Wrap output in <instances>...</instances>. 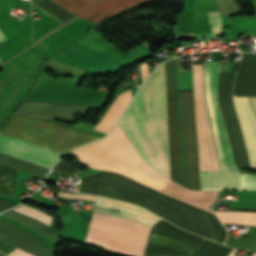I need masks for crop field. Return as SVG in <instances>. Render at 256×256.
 I'll list each match as a JSON object with an SVG mask.
<instances>
[{
  "label": "crop field",
  "instance_id": "crop-field-2",
  "mask_svg": "<svg viewBox=\"0 0 256 256\" xmlns=\"http://www.w3.org/2000/svg\"><path fill=\"white\" fill-rule=\"evenodd\" d=\"M148 90L152 169L170 178L164 64L148 78ZM148 90L146 80L118 123L151 167Z\"/></svg>",
  "mask_w": 256,
  "mask_h": 256
},
{
  "label": "crop field",
  "instance_id": "crop-field-13",
  "mask_svg": "<svg viewBox=\"0 0 256 256\" xmlns=\"http://www.w3.org/2000/svg\"><path fill=\"white\" fill-rule=\"evenodd\" d=\"M61 53L88 66H91L101 72H110L125 66L78 43H74L70 47L63 50Z\"/></svg>",
  "mask_w": 256,
  "mask_h": 256
},
{
  "label": "crop field",
  "instance_id": "crop-field-22",
  "mask_svg": "<svg viewBox=\"0 0 256 256\" xmlns=\"http://www.w3.org/2000/svg\"><path fill=\"white\" fill-rule=\"evenodd\" d=\"M220 221L226 224H246L256 226V213L237 211H214Z\"/></svg>",
  "mask_w": 256,
  "mask_h": 256
},
{
  "label": "crop field",
  "instance_id": "crop-field-27",
  "mask_svg": "<svg viewBox=\"0 0 256 256\" xmlns=\"http://www.w3.org/2000/svg\"><path fill=\"white\" fill-rule=\"evenodd\" d=\"M209 17H210L212 35L222 34L221 19H220L219 11L210 12Z\"/></svg>",
  "mask_w": 256,
  "mask_h": 256
},
{
  "label": "crop field",
  "instance_id": "crop-field-4",
  "mask_svg": "<svg viewBox=\"0 0 256 256\" xmlns=\"http://www.w3.org/2000/svg\"><path fill=\"white\" fill-rule=\"evenodd\" d=\"M171 180L199 190L193 90H166Z\"/></svg>",
  "mask_w": 256,
  "mask_h": 256
},
{
  "label": "crop field",
  "instance_id": "crop-field-17",
  "mask_svg": "<svg viewBox=\"0 0 256 256\" xmlns=\"http://www.w3.org/2000/svg\"><path fill=\"white\" fill-rule=\"evenodd\" d=\"M201 190H240L239 172L200 171Z\"/></svg>",
  "mask_w": 256,
  "mask_h": 256
},
{
  "label": "crop field",
  "instance_id": "crop-field-23",
  "mask_svg": "<svg viewBox=\"0 0 256 256\" xmlns=\"http://www.w3.org/2000/svg\"><path fill=\"white\" fill-rule=\"evenodd\" d=\"M231 248L217 244L208 239L202 244L195 256H226Z\"/></svg>",
  "mask_w": 256,
  "mask_h": 256
},
{
  "label": "crop field",
  "instance_id": "crop-field-14",
  "mask_svg": "<svg viewBox=\"0 0 256 256\" xmlns=\"http://www.w3.org/2000/svg\"><path fill=\"white\" fill-rule=\"evenodd\" d=\"M161 193L212 213L209 206L216 198V191H192L170 182ZM213 214V213H212Z\"/></svg>",
  "mask_w": 256,
  "mask_h": 256
},
{
  "label": "crop field",
  "instance_id": "crop-field-7",
  "mask_svg": "<svg viewBox=\"0 0 256 256\" xmlns=\"http://www.w3.org/2000/svg\"><path fill=\"white\" fill-rule=\"evenodd\" d=\"M149 230L130 220L93 214L87 242L127 255L143 256Z\"/></svg>",
  "mask_w": 256,
  "mask_h": 256
},
{
  "label": "crop field",
  "instance_id": "crop-field-6",
  "mask_svg": "<svg viewBox=\"0 0 256 256\" xmlns=\"http://www.w3.org/2000/svg\"><path fill=\"white\" fill-rule=\"evenodd\" d=\"M235 75L236 74L220 73L218 99L233 156L238 168H256V118L247 97H233L251 159V167L245 140L232 98V85Z\"/></svg>",
  "mask_w": 256,
  "mask_h": 256
},
{
  "label": "crop field",
  "instance_id": "crop-field-31",
  "mask_svg": "<svg viewBox=\"0 0 256 256\" xmlns=\"http://www.w3.org/2000/svg\"><path fill=\"white\" fill-rule=\"evenodd\" d=\"M142 81L148 76L147 65L143 63L140 65Z\"/></svg>",
  "mask_w": 256,
  "mask_h": 256
},
{
  "label": "crop field",
  "instance_id": "crop-field-25",
  "mask_svg": "<svg viewBox=\"0 0 256 256\" xmlns=\"http://www.w3.org/2000/svg\"><path fill=\"white\" fill-rule=\"evenodd\" d=\"M166 89L178 88L176 59L165 62Z\"/></svg>",
  "mask_w": 256,
  "mask_h": 256
},
{
  "label": "crop field",
  "instance_id": "crop-field-9",
  "mask_svg": "<svg viewBox=\"0 0 256 256\" xmlns=\"http://www.w3.org/2000/svg\"><path fill=\"white\" fill-rule=\"evenodd\" d=\"M204 240L160 220L151 230L145 253L194 255Z\"/></svg>",
  "mask_w": 256,
  "mask_h": 256
},
{
  "label": "crop field",
  "instance_id": "crop-field-11",
  "mask_svg": "<svg viewBox=\"0 0 256 256\" xmlns=\"http://www.w3.org/2000/svg\"><path fill=\"white\" fill-rule=\"evenodd\" d=\"M89 105L54 104L47 102L23 101L15 111L39 118H53L70 121L75 112L86 113Z\"/></svg>",
  "mask_w": 256,
  "mask_h": 256
},
{
  "label": "crop field",
  "instance_id": "crop-field-15",
  "mask_svg": "<svg viewBox=\"0 0 256 256\" xmlns=\"http://www.w3.org/2000/svg\"><path fill=\"white\" fill-rule=\"evenodd\" d=\"M0 238L34 256H53L54 253V251L42 245L30 236L14 229L13 227L1 221Z\"/></svg>",
  "mask_w": 256,
  "mask_h": 256
},
{
  "label": "crop field",
  "instance_id": "crop-field-12",
  "mask_svg": "<svg viewBox=\"0 0 256 256\" xmlns=\"http://www.w3.org/2000/svg\"><path fill=\"white\" fill-rule=\"evenodd\" d=\"M96 206L108 208V209L120 210V211L116 212V211L95 207L93 211L94 213L130 219L149 227H151L154 223H156L160 219L159 217L135 205L114 201V200H110L102 197H99Z\"/></svg>",
  "mask_w": 256,
  "mask_h": 256
},
{
  "label": "crop field",
  "instance_id": "crop-field-19",
  "mask_svg": "<svg viewBox=\"0 0 256 256\" xmlns=\"http://www.w3.org/2000/svg\"><path fill=\"white\" fill-rule=\"evenodd\" d=\"M132 95L131 91H127L121 95H119L118 98L113 102V104L110 106V108L105 113L104 117L100 121V123L97 125L95 130L103 132L107 134V132L110 130L112 125L115 123L119 115L122 113L124 108L127 106L129 101L131 100Z\"/></svg>",
  "mask_w": 256,
  "mask_h": 256
},
{
  "label": "crop field",
  "instance_id": "crop-field-21",
  "mask_svg": "<svg viewBox=\"0 0 256 256\" xmlns=\"http://www.w3.org/2000/svg\"><path fill=\"white\" fill-rule=\"evenodd\" d=\"M0 163L34 174V175H42V176H46L47 172H48V168L33 164V163H29L11 156H7L4 154L0 153Z\"/></svg>",
  "mask_w": 256,
  "mask_h": 256
},
{
  "label": "crop field",
  "instance_id": "crop-field-32",
  "mask_svg": "<svg viewBox=\"0 0 256 256\" xmlns=\"http://www.w3.org/2000/svg\"><path fill=\"white\" fill-rule=\"evenodd\" d=\"M9 256H32V255L17 248L11 254H9Z\"/></svg>",
  "mask_w": 256,
  "mask_h": 256
},
{
  "label": "crop field",
  "instance_id": "crop-field-26",
  "mask_svg": "<svg viewBox=\"0 0 256 256\" xmlns=\"http://www.w3.org/2000/svg\"><path fill=\"white\" fill-rule=\"evenodd\" d=\"M15 210L22 213V214H26L28 216L34 217V218L44 222L47 225H48L49 221L51 220V217H49V216H47V215H45V214H43V213H41V212H39L35 209L29 208L25 205H22V206L18 207Z\"/></svg>",
  "mask_w": 256,
  "mask_h": 256
},
{
  "label": "crop field",
  "instance_id": "crop-field-18",
  "mask_svg": "<svg viewBox=\"0 0 256 256\" xmlns=\"http://www.w3.org/2000/svg\"><path fill=\"white\" fill-rule=\"evenodd\" d=\"M144 0H100L79 18L97 23L137 2Z\"/></svg>",
  "mask_w": 256,
  "mask_h": 256
},
{
  "label": "crop field",
  "instance_id": "crop-field-8",
  "mask_svg": "<svg viewBox=\"0 0 256 256\" xmlns=\"http://www.w3.org/2000/svg\"><path fill=\"white\" fill-rule=\"evenodd\" d=\"M220 62H204L206 101L222 170L239 171L232 152L217 101V76Z\"/></svg>",
  "mask_w": 256,
  "mask_h": 256
},
{
  "label": "crop field",
  "instance_id": "crop-field-33",
  "mask_svg": "<svg viewBox=\"0 0 256 256\" xmlns=\"http://www.w3.org/2000/svg\"><path fill=\"white\" fill-rule=\"evenodd\" d=\"M249 99H250V101L252 103V106H253L255 112H256V98H249Z\"/></svg>",
  "mask_w": 256,
  "mask_h": 256
},
{
  "label": "crop field",
  "instance_id": "crop-field-10",
  "mask_svg": "<svg viewBox=\"0 0 256 256\" xmlns=\"http://www.w3.org/2000/svg\"><path fill=\"white\" fill-rule=\"evenodd\" d=\"M194 66H202L203 90H204L203 65H194ZM194 78H195V105H196V115H197V134H198L200 168H218L219 166V169H200V170H221L218 155H217V150L215 146V141L213 137V132L211 128V123L209 119V114L207 110V105L205 101V90H204V101L206 105V110H207V115L209 119L210 129H211L216 157L218 161V166L216 162L215 152L213 148L212 138L210 134L209 124H208L206 110H205L204 101H203L201 67H194Z\"/></svg>",
  "mask_w": 256,
  "mask_h": 256
},
{
  "label": "crop field",
  "instance_id": "crop-field-28",
  "mask_svg": "<svg viewBox=\"0 0 256 256\" xmlns=\"http://www.w3.org/2000/svg\"><path fill=\"white\" fill-rule=\"evenodd\" d=\"M241 190H256V176L240 174Z\"/></svg>",
  "mask_w": 256,
  "mask_h": 256
},
{
  "label": "crop field",
  "instance_id": "crop-field-29",
  "mask_svg": "<svg viewBox=\"0 0 256 256\" xmlns=\"http://www.w3.org/2000/svg\"><path fill=\"white\" fill-rule=\"evenodd\" d=\"M53 170L57 171L59 174L65 176V177H68V176L78 172L75 169H73L70 164L63 162V161H59L55 165Z\"/></svg>",
  "mask_w": 256,
  "mask_h": 256
},
{
  "label": "crop field",
  "instance_id": "crop-field-24",
  "mask_svg": "<svg viewBox=\"0 0 256 256\" xmlns=\"http://www.w3.org/2000/svg\"><path fill=\"white\" fill-rule=\"evenodd\" d=\"M64 8L68 9L74 14H79L80 12L86 10L97 0H53Z\"/></svg>",
  "mask_w": 256,
  "mask_h": 256
},
{
  "label": "crop field",
  "instance_id": "crop-field-5",
  "mask_svg": "<svg viewBox=\"0 0 256 256\" xmlns=\"http://www.w3.org/2000/svg\"><path fill=\"white\" fill-rule=\"evenodd\" d=\"M72 154L85 165L123 174L158 191L171 181L144 163L118 124L105 139L79 148Z\"/></svg>",
  "mask_w": 256,
  "mask_h": 256
},
{
  "label": "crop field",
  "instance_id": "crop-field-20",
  "mask_svg": "<svg viewBox=\"0 0 256 256\" xmlns=\"http://www.w3.org/2000/svg\"><path fill=\"white\" fill-rule=\"evenodd\" d=\"M3 214L28 225L29 227L35 229L36 231L40 232L41 234L45 235L46 237L50 238L55 242L59 240L57 238L59 235L54 230H52L49 226L45 225L44 223L36 219L30 218L28 216L22 215L12 210L5 212Z\"/></svg>",
  "mask_w": 256,
  "mask_h": 256
},
{
  "label": "crop field",
  "instance_id": "crop-field-16",
  "mask_svg": "<svg viewBox=\"0 0 256 256\" xmlns=\"http://www.w3.org/2000/svg\"><path fill=\"white\" fill-rule=\"evenodd\" d=\"M234 95L256 96V54H243Z\"/></svg>",
  "mask_w": 256,
  "mask_h": 256
},
{
  "label": "crop field",
  "instance_id": "crop-field-36",
  "mask_svg": "<svg viewBox=\"0 0 256 256\" xmlns=\"http://www.w3.org/2000/svg\"><path fill=\"white\" fill-rule=\"evenodd\" d=\"M0 256H6V255H4V254L0 253Z\"/></svg>",
  "mask_w": 256,
  "mask_h": 256
},
{
  "label": "crop field",
  "instance_id": "crop-field-30",
  "mask_svg": "<svg viewBox=\"0 0 256 256\" xmlns=\"http://www.w3.org/2000/svg\"><path fill=\"white\" fill-rule=\"evenodd\" d=\"M58 195L67 196V197H75V198L92 199V200L97 199V196L85 195V194H68V193L59 192Z\"/></svg>",
  "mask_w": 256,
  "mask_h": 256
},
{
  "label": "crop field",
  "instance_id": "crop-field-34",
  "mask_svg": "<svg viewBox=\"0 0 256 256\" xmlns=\"http://www.w3.org/2000/svg\"><path fill=\"white\" fill-rule=\"evenodd\" d=\"M3 40H6V38H5V36L0 32V42L3 41ZM0 64H2V63L0 62Z\"/></svg>",
  "mask_w": 256,
  "mask_h": 256
},
{
  "label": "crop field",
  "instance_id": "crop-field-35",
  "mask_svg": "<svg viewBox=\"0 0 256 256\" xmlns=\"http://www.w3.org/2000/svg\"><path fill=\"white\" fill-rule=\"evenodd\" d=\"M235 250H236V249H233V251L230 253L229 256H234V255H232V254L234 253ZM235 252H236V251H235ZM253 256H256V254L254 253Z\"/></svg>",
  "mask_w": 256,
  "mask_h": 256
},
{
  "label": "crop field",
  "instance_id": "crop-field-1",
  "mask_svg": "<svg viewBox=\"0 0 256 256\" xmlns=\"http://www.w3.org/2000/svg\"><path fill=\"white\" fill-rule=\"evenodd\" d=\"M79 192L128 201L149 209L175 225L220 243L226 230L214 215L158 193L122 175L105 172L85 177Z\"/></svg>",
  "mask_w": 256,
  "mask_h": 256
},
{
  "label": "crop field",
  "instance_id": "crop-field-3",
  "mask_svg": "<svg viewBox=\"0 0 256 256\" xmlns=\"http://www.w3.org/2000/svg\"><path fill=\"white\" fill-rule=\"evenodd\" d=\"M0 132L56 150L64 155L101 138L18 114ZM6 135L0 134V152L49 168L61 158L50 150Z\"/></svg>",
  "mask_w": 256,
  "mask_h": 256
}]
</instances>
